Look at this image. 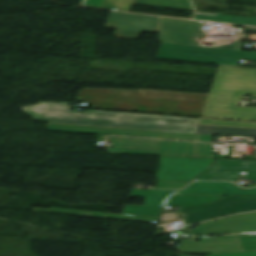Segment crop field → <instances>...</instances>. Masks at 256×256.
Here are the masks:
<instances>
[{"label": "crop field", "mask_w": 256, "mask_h": 256, "mask_svg": "<svg viewBox=\"0 0 256 256\" xmlns=\"http://www.w3.org/2000/svg\"><path fill=\"white\" fill-rule=\"evenodd\" d=\"M177 194L256 196V189L242 190L230 182H194Z\"/></svg>", "instance_id": "obj_8"}, {"label": "crop field", "mask_w": 256, "mask_h": 256, "mask_svg": "<svg viewBox=\"0 0 256 256\" xmlns=\"http://www.w3.org/2000/svg\"><path fill=\"white\" fill-rule=\"evenodd\" d=\"M21 109L31 118L41 122L190 133L196 132L199 120L95 110L77 113L69 110V102H38L37 105L25 106Z\"/></svg>", "instance_id": "obj_1"}, {"label": "crop field", "mask_w": 256, "mask_h": 256, "mask_svg": "<svg viewBox=\"0 0 256 256\" xmlns=\"http://www.w3.org/2000/svg\"><path fill=\"white\" fill-rule=\"evenodd\" d=\"M188 183L158 182V188L181 189Z\"/></svg>", "instance_id": "obj_15"}, {"label": "crop field", "mask_w": 256, "mask_h": 256, "mask_svg": "<svg viewBox=\"0 0 256 256\" xmlns=\"http://www.w3.org/2000/svg\"><path fill=\"white\" fill-rule=\"evenodd\" d=\"M194 19L256 26L255 18L229 16V15H221V14L196 12Z\"/></svg>", "instance_id": "obj_10"}, {"label": "crop field", "mask_w": 256, "mask_h": 256, "mask_svg": "<svg viewBox=\"0 0 256 256\" xmlns=\"http://www.w3.org/2000/svg\"><path fill=\"white\" fill-rule=\"evenodd\" d=\"M251 210H256V197L223 196V201L178 212L185 216L184 221L186 224H193L207 220L209 217L214 218Z\"/></svg>", "instance_id": "obj_5"}, {"label": "crop field", "mask_w": 256, "mask_h": 256, "mask_svg": "<svg viewBox=\"0 0 256 256\" xmlns=\"http://www.w3.org/2000/svg\"><path fill=\"white\" fill-rule=\"evenodd\" d=\"M105 0H83L82 4L89 7L102 8Z\"/></svg>", "instance_id": "obj_16"}, {"label": "crop field", "mask_w": 256, "mask_h": 256, "mask_svg": "<svg viewBox=\"0 0 256 256\" xmlns=\"http://www.w3.org/2000/svg\"><path fill=\"white\" fill-rule=\"evenodd\" d=\"M114 148L109 153L193 157L195 142H176L145 138L109 136Z\"/></svg>", "instance_id": "obj_4"}, {"label": "crop field", "mask_w": 256, "mask_h": 256, "mask_svg": "<svg viewBox=\"0 0 256 256\" xmlns=\"http://www.w3.org/2000/svg\"><path fill=\"white\" fill-rule=\"evenodd\" d=\"M199 124L256 129L255 123H241V122L201 119Z\"/></svg>", "instance_id": "obj_12"}, {"label": "crop field", "mask_w": 256, "mask_h": 256, "mask_svg": "<svg viewBox=\"0 0 256 256\" xmlns=\"http://www.w3.org/2000/svg\"><path fill=\"white\" fill-rule=\"evenodd\" d=\"M240 95L256 96V70L219 67L202 116L256 121V108L236 107Z\"/></svg>", "instance_id": "obj_3"}, {"label": "crop field", "mask_w": 256, "mask_h": 256, "mask_svg": "<svg viewBox=\"0 0 256 256\" xmlns=\"http://www.w3.org/2000/svg\"><path fill=\"white\" fill-rule=\"evenodd\" d=\"M209 94L161 91L81 88L75 100L94 109H112L201 116Z\"/></svg>", "instance_id": "obj_2"}, {"label": "crop field", "mask_w": 256, "mask_h": 256, "mask_svg": "<svg viewBox=\"0 0 256 256\" xmlns=\"http://www.w3.org/2000/svg\"><path fill=\"white\" fill-rule=\"evenodd\" d=\"M47 129L75 132V133H102V134H113V135L183 139V140H193V141H196L198 136V134H178V133H165V132L125 130V129H111V128H102V127L69 126V125H58V124H47Z\"/></svg>", "instance_id": "obj_6"}, {"label": "crop field", "mask_w": 256, "mask_h": 256, "mask_svg": "<svg viewBox=\"0 0 256 256\" xmlns=\"http://www.w3.org/2000/svg\"><path fill=\"white\" fill-rule=\"evenodd\" d=\"M196 157L211 158V144L198 143Z\"/></svg>", "instance_id": "obj_14"}, {"label": "crop field", "mask_w": 256, "mask_h": 256, "mask_svg": "<svg viewBox=\"0 0 256 256\" xmlns=\"http://www.w3.org/2000/svg\"><path fill=\"white\" fill-rule=\"evenodd\" d=\"M134 3L193 10L190 0H135Z\"/></svg>", "instance_id": "obj_11"}, {"label": "crop field", "mask_w": 256, "mask_h": 256, "mask_svg": "<svg viewBox=\"0 0 256 256\" xmlns=\"http://www.w3.org/2000/svg\"><path fill=\"white\" fill-rule=\"evenodd\" d=\"M198 141L212 142L213 136L200 135Z\"/></svg>", "instance_id": "obj_17"}, {"label": "crop field", "mask_w": 256, "mask_h": 256, "mask_svg": "<svg viewBox=\"0 0 256 256\" xmlns=\"http://www.w3.org/2000/svg\"><path fill=\"white\" fill-rule=\"evenodd\" d=\"M133 0H106L103 8L104 9H110L114 10L117 9L119 11H125L128 12Z\"/></svg>", "instance_id": "obj_13"}, {"label": "crop field", "mask_w": 256, "mask_h": 256, "mask_svg": "<svg viewBox=\"0 0 256 256\" xmlns=\"http://www.w3.org/2000/svg\"><path fill=\"white\" fill-rule=\"evenodd\" d=\"M196 133L207 135L241 136L256 138V130L228 127L199 125Z\"/></svg>", "instance_id": "obj_9"}, {"label": "crop field", "mask_w": 256, "mask_h": 256, "mask_svg": "<svg viewBox=\"0 0 256 256\" xmlns=\"http://www.w3.org/2000/svg\"><path fill=\"white\" fill-rule=\"evenodd\" d=\"M177 190H131L130 197H144L145 206L126 205L122 214L159 217L164 201Z\"/></svg>", "instance_id": "obj_7"}]
</instances>
